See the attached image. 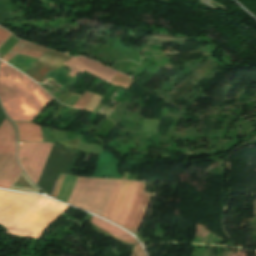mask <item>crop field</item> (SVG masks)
Listing matches in <instances>:
<instances>
[{"label": "crop field", "instance_id": "1", "mask_svg": "<svg viewBox=\"0 0 256 256\" xmlns=\"http://www.w3.org/2000/svg\"><path fill=\"white\" fill-rule=\"evenodd\" d=\"M52 99L24 74L0 61V100L14 121H31Z\"/></svg>", "mask_w": 256, "mask_h": 256}, {"label": "crop field", "instance_id": "2", "mask_svg": "<svg viewBox=\"0 0 256 256\" xmlns=\"http://www.w3.org/2000/svg\"><path fill=\"white\" fill-rule=\"evenodd\" d=\"M144 186L145 183L123 180L107 219L134 234L144 218L151 196L143 193Z\"/></svg>", "mask_w": 256, "mask_h": 256}, {"label": "crop field", "instance_id": "3", "mask_svg": "<svg viewBox=\"0 0 256 256\" xmlns=\"http://www.w3.org/2000/svg\"><path fill=\"white\" fill-rule=\"evenodd\" d=\"M121 181L78 177L67 203L106 219Z\"/></svg>", "mask_w": 256, "mask_h": 256}, {"label": "crop field", "instance_id": "4", "mask_svg": "<svg viewBox=\"0 0 256 256\" xmlns=\"http://www.w3.org/2000/svg\"><path fill=\"white\" fill-rule=\"evenodd\" d=\"M52 145L47 143H19V161L29 178L35 183L38 181Z\"/></svg>", "mask_w": 256, "mask_h": 256}, {"label": "crop field", "instance_id": "5", "mask_svg": "<svg viewBox=\"0 0 256 256\" xmlns=\"http://www.w3.org/2000/svg\"><path fill=\"white\" fill-rule=\"evenodd\" d=\"M71 57L58 54L47 50L32 66V68L26 73L27 76L34 80L41 82L46 73L52 71L63 63L68 61Z\"/></svg>", "mask_w": 256, "mask_h": 256}, {"label": "crop field", "instance_id": "6", "mask_svg": "<svg viewBox=\"0 0 256 256\" xmlns=\"http://www.w3.org/2000/svg\"><path fill=\"white\" fill-rule=\"evenodd\" d=\"M65 65L69 66L71 71L68 73L70 76H75L79 71H87L88 73L109 82L111 78L116 74L113 71L97 62L86 59L84 57H76L68 61Z\"/></svg>", "mask_w": 256, "mask_h": 256}, {"label": "crop field", "instance_id": "7", "mask_svg": "<svg viewBox=\"0 0 256 256\" xmlns=\"http://www.w3.org/2000/svg\"><path fill=\"white\" fill-rule=\"evenodd\" d=\"M16 143L0 163V188L9 189L21 170L15 161Z\"/></svg>", "mask_w": 256, "mask_h": 256}, {"label": "crop field", "instance_id": "8", "mask_svg": "<svg viewBox=\"0 0 256 256\" xmlns=\"http://www.w3.org/2000/svg\"><path fill=\"white\" fill-rule=\"evenodd\" d=\"M44 50L45 48L19 40L2 60L7 62L16 54L38 59Z\"/></svg>", "mask_w": 256, "mask_h": 256}, {"label": "crop field", "instance_id": "9", "mask_svg": "<svg viewBox=\"0 0 256 256\" xmlns=\"http://www.w3.org/2000/svg\"><path fill=\"white\" fill-rule=\"evenodd\" d=\"M14 142L15 130L13 125L6 118V120L0 126V161L14 144Z\"/></svg>", "mask_w": 256, "mask_h": 256}, {"label": "crop field", "instance_id": "10", "mask_svg": "<svg viewBox=\"0 0 256 256\" xmlns=\"http://www.w3.org/2000/svg\"><path fill=\"white\" fill-rule=\"evenodd\" d=\"M90 223H92V224L100 227L101 229L105 230L106 232L110 233L111 235H113L118 240L122 241L123 243L133 244V245H136V243H137L136 240L132 236L128 235L127 233L123 232L122 230L118 229L117 227H115L99 218L92 216V218L90 219Z\"/></svg>", "mask_w": 256, "mask_h": 256}, {"label": "crop field", "instance_id": "11", "mask_svg": "<svg viewBox=\"0 0 256 256\" xmlns=\"http://www.w3.org/2000/svg\"><path fill=\"white\" fill-rule=\"evenodd\" d=\"M19 132V141L43 142L41 129L32 123H15Z\"/></svg>", "mask_w": 256, "mask_h": 256}, {"label": "crop field", "instance_id": "12", "mask_svg": "<svg viewBox=\"0 0 256 256\" xmlns=\"http://www.w3.org/2000/svg\"><path fill=\"white\" fill-rule=\"evenodd\" d=\"M110 83H112L114 85H120L127 89L129 87V85L132 83V81L127 76L117 72V74L113 77V79L110 81Z\"/></svg>", "mask_w": 256, "mask_h": 256}, {"label": "crop field", "instance_id": "13", "mask_svg": "<svg viewBox=\"0 0 256 256\" xmlns=\"http://www.w3.org/2000/svg\"><path fill=\"white\" fill-rule=\"evenodd\" d=\"M102 98V96L94 94L91 100L89 101L86 110L93 111L95 107L100 103Z\"/></svg>", "mask_w": 256, "mask_h": 256}, {"label": "crop field", "instance_id": "14", "mask_svg": "<svg viewBox=\"0 0 256 256\" xmlns=\"http://www.w3.org/2000/svg\"><path fill=\"white\" fill-rule=\"evenodd\" d=\"M130 256H145V253L141 246L137 243V245L134 246Z\"/></svg>", "mask_w": 256, "mask_h": 256}, {"label": "crop field", "instance_id": "15", "mask_svg": "<svg viewBox=\"0 0 256 256\" xmlns=\"http://www.w3.org/2000/svg\"><path fill=\"white\" fill-rule=\"evenodd\" d=\"M9 32L5 31L4 29L0 28V46L11 36Z\"/></svg>", "mask_w": 256, "mask_h": 256}, {"label": "crop field", "instance_id": "16", "mask_svg": "<svg viewBox=\"0 0 256 256\" xmlns=\"http://www.w3.org/2000/svg\"><path fill=\"white\" fill-rule=\"evenodd\" d=\"M64 175H61V177H60V179H59V182H58V184H57V187H56V189H55V192H54V194H53V196L52 197H56V195H57V193H58V190H59V188H60V186H61V184H62V181H63V179H64Z\"/></svg>", "mask_w": 256, "mask_h": 256}]
</instances>
